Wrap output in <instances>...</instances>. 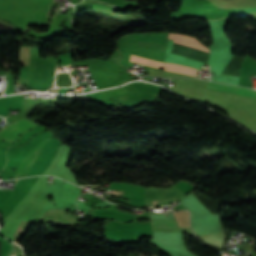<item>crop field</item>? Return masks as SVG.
I'll list each match as a JSON object with an SVG mask.
<instances>
[{
	"label": "crop field",
	"instance_id": "3",
	"mask_svg": "<svg viewBox=\"0 0 256 256\" xmlns=\"http://www.w3.org/2000/svg\"><path fill=\"white\" fill-rule=\"evenodd\" d=\"M205 88L226 91V92H232V93L248 95V96H253V97L256 96V90L245 89V88H240V87L237 88L234 86H229V85H224V84H219V83L209 82V81L207 82V85Z\"/></svg>",
	"mask_w": 256,
	"mask_h": 256
},
{
	"label": "crop field",
	"instance_id": "7",
	"mask_svg": "<svg viewBox=\"0 0 256 256\" xmlns=\"http://www.w3.org/2000/svg\"><path fill=\"white\" fill-rule=\"evenodd\" d=\"M163 46L164 45H161V44H154V43L141 42V41H138V44H137V47H140V48L153 49V50H159V51L163 50Z\"/></svg>",
	"mask_w": 256,
	"mask_h": 256
},
{
	"label": "crop field",
	"instance_id": "8",
	"mask_svg": "<svg viewBox=\"0 0 256 256\" xmlns=\"http://www.w3.org/2000/svg\"><path fill=\"white\" fill-rule=\"evenodd\" d=\"M164 67L176 68V69H183V70H187V71H191V72L198 73V70H196V69H191V68H189V67L180 66V65H176V64L164 63ZM168 68H166V69H168ZM166 69H164V70H166ZM176 69H172V70H176ZM183 70H177V71H182V72H186V73H190V74L196 75L195 73H191V72H187V71H183Z\"/></svg>",
	"mask_w": 256,
	"mask_h": 256
},
{
	"label": "crop field",
	"instance_id": "4",
	"mask_svg": "<svg viewBox=\"0 0 256 256\" xmlns=\"http://www.w3.org/2000/svg\"><path fill=\"white\" fill-rule=\"evenodd\" d=\"M169 37L174 39L176 42L184 43V44H189L193 46H198L202 48L208 49L206 46L201 44L196 38L189 37V36H184V35H178V34H169Z\"/></svg>",
	"mask_w": 256,
	"mask_h": 256
},
{
	"label": "crop field",
	"instance_id": "6",
	"mask_svg": "<svg viewBox=\"0 0 256 256\" xmlns=\"http://www.w3.org/2000/svg\"><path fill=\"white\" fill-rule=\"evenodd\" d=\"M179 227H189L188 225V212L186 211H180L173 213Z\"/></svg>",
	"mask_w": 256,
	"mask_h": 256
},
{
	"label": "crop field",
	"instance_id": "2",
	"mask_svg": "<svg viewBox=\"0 0 256 256\" xmlns=\"http://www.w3.org/2000/svg\"><path fill=\"white\" fill-rule=\"evenodd\" d=\"M48 140L49 139L43 140L42 142L38 143L35 147H33L29 151V153L26 155V157L21 162V164L15 174V177L23 176L25 173H27L29 171V169L32 167V165L35 163V161L40 156V154Z\"/></svg>",
	"mask_w": 256,
	"mask_h": 256
},
{
	"label": "crop field",
	"instance_id": "1",
	"mask_svg": "<svg viewBox=\"0 0 256 256\" xmlns=\"http://www.w3.org/2000/svg\"><path fill=\"white\" fill-rule=\"evenodd\" d=\"M36 125L37 124L22 118L0 130V139L8 142H16L19 139V135Z\"/></svg>",
	"mask_w": 256,
	"mask_h": 256
},
{
	"label": "crop field",
	"instance_id": "5",
	"mask_svg": "<svg viewBox=\"0 0 256 256\" xmlns=\"http://www.w3.org/2000/svg\"><path fill=\"white\" fill-rule=\"evenodd\" d=\"M152 225L176 226L174 220L151 219ZM152 226L153 230L178 231L177 227Z\"/></svg>",
	"mask_w": 256,
	"mask_h": 256
},
{
	"label": "crop field",
	"instance_id": "9",
	"mask_svg": "<svg viewBox=\"0 0 256 256\" xmlns=\"http://www.w3.org/2000/svg\"><path fill=\"white\" fill-rule=\"evenodd\" d=\"M142 58H139V57L133 56V55H131V57H130L131 60H135V61H139V62H143V63H147V64H153V65L162 67V62H156V61L142 59Z\"/></svg>",
	"mask_w": 256,
	"mask_h": 256
}]
</instances>
